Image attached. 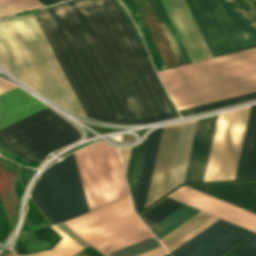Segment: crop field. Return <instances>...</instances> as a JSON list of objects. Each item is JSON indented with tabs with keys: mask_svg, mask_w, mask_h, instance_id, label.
<instances>
[{
	"mask_svg": "<svg viewBox=\"0 0 256 256\" xmlns=\"http://www.w3.org/2000/svg\"><path fill=\"white\" fill-rule=\"evenodd\" d=\"M5 256H15L14 253H10L8 255H5Z\"/></svg>",
	"mask_w": 256,
	"mask_h": 256,
	"instance_id": "b80d0937",
	"label": "crop field"
},
{
	"mask_svg": "<svg viewBox=\"0 0 256 256\" xmlns=\"http://www.w3.org/2000/svg\"><path fill=\"white\" fill-rule=\"evenodd\" d=\"M199 212L184 205L149 229L159 240Z\"/></svg>",
	"mask_w": 256,
	"mask_h": 256,
	"instance_id": "bc2a9ffb",
	"label": "crop field"
},
{
	"mask_svg": "<svg viewBox=\"0 0 256 256\" xmlns=\"http://www.w3.org/2000/svg\"><path fill=\"white\" fill-rule=\"evenodd\" d=\"M177 110L256 91V48L158 72Z\"/></svg>",
	"mask_w": 256,
	"mask_h": 256,
	"instance_id": "34b2d1b8",
	"label": "crop field"
},
{
	"mask_svg": "<svg viewBox=\"0 0 256 256\" xmlns=\"http://www.w3.org/2000/svg\"><path fill=\"white\" fill-rule=\"evenodd\" d=\"M74 154L90 211L129 195L116 148L97 142Z\"/></svg>",
	"mask_w": 256,
	"mask_h": 256,
	"instance_id": "d8731c3e",
	"label": "crop field"
},
{
	"mask_svg": "<svg viewBox=\"0 0 256 256\" xmlns=\"http://www.w3.org/2000/svg\"><path fill=\"white\" fill-rule=\"evenodd\" d=\"M231 252L241 256H256V234L245 240Z\"/></svg>",
	"mask_w": 256,
	"mask_h": 256,
	"instance_id": "d3111659",
	"label": "crop field"
},
{
	"mask_svg": "<svg viewBox=\"0 0 256 256\" xmlns=\"http://www.w3.org/2000/svg\"><path fill=\"white\" fill-rule=\"evenodd\" d=\"M254 133V132H253ZM256 177V128L244 179Z\"/></svg>",
	"mask_w": 256,
	"mask_h": 256,
	"instance_id": "750c4746",
	"label": "crop field"
},
{
	"mask_svg": "<svg viewBox=\"0 0 256 256\" xmlns=\"http://www.w3.org/2000/svg\"><path fill=\"white\" fill-rule=\"evenodd\" d=\"M130 150H131V148L119 149L125 173H126V168H127V164H128Z\"/></svg>",
	"mask_w": 256,
	"mask_h": 256,
	"instance_id": "5866460e",
	"label": "crop field"
},
{
	"mask_svg": "<svg viewBox=\"0 0 256 256\" xmlns=\"http://www.w3.org/2000/svg\"><path fill=\"white\" fill-rule=\"evenodd\" d=\"M212 57L256 46V12L248 0H184Z\"/></svg>",
	"mask_w": 256,
	"mask_h": 256,
	"instance_id": "412701ff",
	"label": "crop field"
},
{
	"mask_svg": "<svg viewBox=\"0 0 256 256\" xmlns=\"http://www.w3.org/2000/svg\"><path fill=\"white\" fill-rule=\"evenodd\" d=\"M43 5H45V4H48V3H52V1L53 2H55V1H58V0H39Z\"/></svg>",
	"mask_w": 256,
	"mask_h": 256,
	"instance_id": "e1f06a70",
	"label": "crop field"
},
{
	"mask_svg": "<svg viewBox=\"0 0 256 256\" xmlns=\"http://www.w3.org/2000/svg\"><path fill=\"white\" fill-rule=\"evenodd\" d=\"M256 213V182L190 186Z\"/></svg>",
	"mask_w": 256,
	"mask_h": 256,
	"instance_id": "d9b57169",
	"label": "crop field"
},
{
	"mask_svg": "<svg viewBox=\"0 0 256 256\" xmlns=\"http://www.w3.org/2000/svg\"><path fill=\"white\" fill-rule=\"evenodd\" d=\"M183 204L178 203L174 200H171L169 198H165L162 201H160L158 204L147 210L145 213L140 215L142 220L146 223V225L151 227L179 207H181Z\"/></svg>",
	"mask_w": 256,
	"mask_h": 256,
	"instance_id": "00972430",
	"label": "crop field"
},
{
	"mask_svg": "<svg viewBox=\"0 0 256 256\" xmlns=\"http://www.w3.org/2000/svg\"><path fill=\"white\" fill-rule=\"evenodd\" d=\"M146 140H143V142L135 147H132L129 164L127 168V181L129 184V188L131 191V195L134 201V196L136 192L137 182L139 178L140 168L142 164L143 154L145 150Z\"/></svg>",
	"mask_w": 256,
	"mask_h": 256,
	"instance_id": "dafd665d",
	"label": "crop field"
},
{
	"mask_svg": "<svg viewBox=\"0 0 256 256\" xmlns=\"http://www.w3.org/2000/svg\"><path fill=\"white\" fill-rule=\"evenodd\" d=\"M243 110L219 115L203 181L228 180Z\"/></svg>",
	"mask_w": 256,
	"mask_h": 256,
	"instance_id": "5a996713",
	"label": "crop field"
},
{
	"mask_svg": "<svg viewBox=\"0 0 256 256\" xmlns=\"http://www.w3.org/2000/svg\"><path fill=\"white\" fill-rule=\"evenodd\" d=\"M158 246H160L159 242L152 236L106 256H135Z\"/></svg>",
	"mask_w": 256,
	"mask_h": 256,
	"instance_id": "730fd06b",
	"label": "crop field"
},
{
	"mask_svg": "<svg viewBox=\"0 0 256 256\" xmlns=\"http://www.w3.org/2000/svg\"><path fill=\"white\" fill-rule=\"evenodd\" d=\"M255 98H256V92H253V93H249V94H245V95H241L233 98H228V99L180 110L179 113L181 114L182 117H185V116L233 105L236 103H240V102L255 99Z\"/></svg>",
	"mask_w": 256,
	"mask_h": 256,
	"instance_id": "a9b5d70f",
	"label": "crop field"
},
{
	"mask_svg": "<svg viewBox=\"0 0 256 256\" xmlns=\"http://www.w3.org/2000/svg\"><path fill=\"white\" fill-rule=\"evenodd\" d=\"M172 198L256 231V214L214 198L188 186L169 195ZM179 201V202H180Z\"/></svg>",
	"mask_w": 256,
	"mask_h": 256,
	"instance_id": "28ad6ade",
	"label": "crop field"
},
{
	"mask_svg": "<svg viewBox=\"0 0 256 256\" xmlns=\"http://www.w3.org/2000/svg\"><path fill=\"white\" fill-rule=\"evenodd\" d=\"M228 252H229V251H228ZM223 256H238V255L229 252V253H227V254H225V255H223Z\"/></svg>",
	"mask_w": 256,
	"mask_h": 256,
	"instance_id": "0bd39190",
	"label": "crop field"
},
{
	"mask_svg": "<svg viewBox=\"0 0 256 256\" xmlns=\"http://www.w3.org/2000/svg\"><path fill=\"white\" fill-rule=\"evenodd\" d=\"M181 124L162 129L146 205L165 194Z\"/></svg>",
	"mask_w": 256,
	"mask_h": 256,
	"instance_id": "22f410ed",
	"label": "crop field"
},
{
	"mask_svg": "<svg viewBox=\"0 0 256 256\" xmlns=\"http://www.w3.org/2000/svg\"><path fill=\"white\" fill-rule=\"evenodd\" d=\"M217 219L218 218H215V217L211 218L210 220H208L207 222H205L204 224H202L201 226H199L198 228H196L195 230H193L192 232H190L189 234H187L186 236H184L183 238H181L180 240H178L177 242H175L174 244H172L171 246H169L166 249L169 252L172 251L173 249H175L176 247L181 245L183 242H185L186 240H188L189 238H191L192 236H194L195 234H197L198 232H200L201 230L206 228L208 225H210L211 223H213Z\"/></svg>",
	"mask_w": 256,
	"mask_h": 256,
	"instance_id": "120bbe31",
	"label": "crop field"
},
{
	"mask_svg": "<svg viewBox=\"0 0 256 256\" xmlns=\"http://www.w3.org/2000/svg\"><path fill=\"white\" fill-rule=\"evenodd\" d=\"M104 255L152 236L129 197L64 223Z\"/></svg>",
	"mask_w": 256,
	"mask_h": 256,
	"instance_id": "f4fd0767",
	"label": "crop field"
},
{
	"mask_svg": "<svg viewBox=\"0 0 256 256\" xmlns=\"http://www.w3.org/2000/svg\"><path fill=\"white\" fill-rule=\"evenodd\" d=\"M47 107L16 87L0 95V128Z\"/></svg>",
	"mask_w": 256,
	"mask_h": 256,
	"instance_id": "5142ce71",
	"label": "crop field"
},
{
	"mask_svg": "<svg viewBox=\"0 0 256 256\" xmlns=\"http://www.w3.org/2000/svg\"><path fill=\"white\" fill-rule=\"evenodd\" d=\"M161 129L162 127L151 131L148 136L136 197L134 201L136 212L144 208L145 205Z\"/></svg>",
	"mask_w": 256,
	"mask_h": 256,
	"instance_id": "4a817a6b",
	"label": "crop field"
},
{
	"mask_svg": "<svg viewBox=\"0 0 256 256\" xmlns=\"http://www.w3.org/2000/svg\"><path fill=\"white\" fill-rule=\"evenodd\" d=\"M255 124H256V105H253L250 108L234 179H243L244 177Z\"/></svg>",
	"mask_w": 256,
	"mask_h": 256,
	"instance_id": "92a150f3",
	"label": "crop field"
},
{
	"mask_svg": "<svg viewBox=\"0 0 256 256\" xmlns=\"http://www.w3.org/2000/svg\"><path fill=\"white\" fill-rule=\"evenodd\" d=\"M81 252H83L84 254H86L88 256H102L89 246L87 248L83 249Z\"/></svg>",
	"mask_w": 256,
	"mask_h": 256,
	"instance_id": "028f5c9d",
	"label": "crop field"
},
{
	"mask_svg": "<svg viewBox=\"0 0 256 256\" xmlns=\"http://www.w3.org/2000/svg\"><path fill=\"white\" fill-rule=\"evenodd\" d=\"M57 227H59L65 234H67L71 239H73L75 242H77L82 247L87 246L83 241H81L79 238H77L75 235H73L62 223L56 224Z\"/></svg>",
	"mask_w": 256,
	"mask_h": 256,
	"instance_id": "d32e631a",
	"label": "crop field"
},
{
	"mask_svg": "<svg viewBox=\"0 0 256 256\" xmlns=\"http://www.w3.org/2000/svg\"><path fill=\"white\" fill-rule=\"evenodd\" d=\"M154 1H155V3L157 5V7H158V9H159V11H160L164 21H165V23H166L170 33H171V35H172V37H173V39H174V41H175V43L177 45V47H178V49H179V51H180V53H181L185 63L191 62L189 57H188V55H187V53H186V51H185V49H184V47H183V45H182V43H181V41H180V39H179V37H178V35H177V33H176V31H175V29H174V26H173V24H172V22H171V20H170V18L168 16V14H167L165 8H164L161 0H154Z\"/></svg>",
	"mask_w": 256,
	"mask_h": 256,
	"instance_id": "ae1a2a85",
	"label": "crop field"
},
{
	"mask_svg": "<svg viewBox=\"0 0 256 256\" xmlns=\"http://www.w3.org/2000/svg\"><path fill=\"white\" fill-rule=\"evenodd\" d=\"M211 217L212 216L201 212L159 241L166 248Z\"/></svg>",
	"mask_w": 256,
	"mask_h": 256,
	"instance_id": "4177f3b9",
	"label": "crop field"
},
{
	"mask_svg": "<svg viewBox=\"0 0 256 256\" xmlns=\"http://www.w3.org/2000/svg\"><path fill=\"white\" fill-rule=\"evenodd\" d=\"M147 2H148V3L150 4V6L153 8V10H154V12H155V14H156V16H157V18H158V20H159V22H160L162 28H163V30H164V32H165L166 36H167V38H168V40H169V42H170V44H171V46H172V48H173V50H174V52H175V54H176V56H177L179 62H180V64H181V65L184 64V61H183V59H182V57H181V55H180V53H179V51H178V49H177V47H176L174 41H173V39H172V37H171V35H170V33H169V31H168L166 25H165V23H164V21H163L161 15H160V13H159V11H158V9H157V7H156L154 1H153V0H147Z\"/></svg>",
	"mask_w": 256,
	"mask_h": 256,
	"instance_id": "1d83c4d3",
	"label": "crop field"
},
{
	"mask_svg": "<svg viewBox=\"0 0 256 256\" xmlns=\"http://www.w3.org/2000/svg\"><path fill=\"white\" fill-rule=\"evenodd\" d=\"M196 122L183 123L181 126L167 192L184 181Z\"/></svg>",
	"mask_w": 256,
	"mask_h": 256,
	"instance_id": "733c2abd",
	"label": "crop field"
},
{
	"mask_svg": "<svg viewBox=\"0 0 256 256\" xmlns=\"http://www.w3.org/2000/svg\"><path fill=\"white\" fill-rule=\"evenodd\" d=\"M0 5H2L9 12L6 13L7 11L2 6H0V14H12L42 6V4L37 0H0Z\"/></svg>",
	"mask_w": 256,
	"mask_h": 256,
	"instance_id": "eef30255",
	"label": "crop field"
},
{
	"mask_svg": "<svg viewBox=\"0 0 256 256\" xmlns=\"http://www.w3.org/2000/svg\"><path fill=\"white\" fill-rule=\"evenodd\" d=\"M163 256H170L169 254L163 255Z\"/></svg>",
	"mask_w": 256,
	"mask_h": 256,
	"instance_id": "c035e120",
	"label": "crop field"
},
{
	"mask_svg": "<svg viewBox=\"0 0 256 256\" xmlns=\"http://www.w3.org/2000/svg\"><path fill=\"white\" fill-rule=\"evenodd\" d=\"M192 62L211 55L183 0H162Z\"/></svg>",
	"mask_w": 256,
	"mask_h": 256,
	"instance_id": "d1516ede",
	"label": "crop field"
},
{
	"mask_svg": "<svg viewBox=\"0 0 256 256\" xmlns=\"http://www.w3.org/2000/svg\"><path fill=\"white\" fill-rule=\"evenodd\" d=\"M79 138V131L49 107L0 129V141L8 149L34 162Z\"/></svg>",
	"mask_w": 256,
	"mask_h": 256,
	"instance_id": "dd49c442",
	"label": "crop field"
},
{
	"mask_svg": "<svg viewBox=\"0 0 256 256\" xmlns=\"http://www.w3.org/2000/svg\"><path fill=\"white\" fill-rule=\"evenodd\" d=\"M30 197L53 224L88 212L74 154L46 169Z\"/></svg>",
	"mask_w": 256,
	"mask_h": 256,
	"instance_id": "e52e79f7",
	"label": "crop field"
},
{
	"mask_svg": "<svg viewBox=\"0 0 256 256\" xmlns=\"http://www.w3.org/2000/svg\"><path fill=\"white\" fill-rule=\"evenodd\" d=\"M249 108H250V106L246 107L245 110H244L243 119H242V123H241L240 133H239V137H238V142H237V146H236V151H235V155H234V160H233V165H232L229 180L233 179V177H234V173H235V169H236V164H237V160H238V156H239V151H240V147H241V142H242V138H243V134H244V129H245L246 121H247Z\"/></svg>",
	"mask_w": 256,
	"mask_h": 256,
	"instance_id": "bd1437ed",
	"label": "crop field"
},
{
	"mask_svg": "<svg viewBox=\"0 0 256 256\" xmlns=\"http://www.w3.org/2000/svg\"><path fill=\"white\" fill-rule=\"evenodd\" d=\"M33 13L87 117L116 124L177 117L114 0H70Z\"/></svg>",
	"mask_w": 256,
	"mask_h": 256,
	"instance_id": "8a807250",
	"label": "crop field"
},
{
	"mask_svg": "<svg viewBox=\"0 0 256 256\" xmlns=\"http://www.w3.org/2000/svg\"><path fill=\"white\" fill-rule=\"evenodd\" d=\"M217 117L198 120L184 183L202 181Z\"/></svg>",
	"mask_w": 256,
	"mask_h": 256,
	"instance_id": "cbeb9de0",
	"label": "crop field"
},
{
	"mask_svg": "<svg viewBox=\"0 0 256 256\" xmlns=\"http://www.w3.org/2000/svg\"><path fill=\"white\" fill-rule=\"evenodd\" d=\"M0 64L53 102L86 117L33 13L0 19Z\"/></svg>",
	"mask_w": 256,
	"mask_h": 256,
	"instance_id": "ac0d7876",
	"label": "crop field"
},
{
	"mask_svg": "<svg viewBox=\"0 0 256 256\" xmlns=\"http://www.w3.org/2000/svg\"><path fill=\"white\" fill-rule=\"evenodd\" d=\"M135 22L156 70L166 68L132 0H119Z\"/></svg>",
	"mask_w": 256,
	"mask_h": 256,
	"instance_id": "214f88e0",
	"label": "crop field"
},
{
	"mask_svg": "<svg viewBox=\"0 0 256 256\" xmlns=\"http://www.w3.org/2000/svg\"><path fill=\"white\" fill-rule=\"evenodd\" d=\"M251 234L219 219L170 253L173 256H220Z\"/></svg>",
	"mask_w": 256,
	"mask_h": 256,
	"instance_id": "3316defc",
	"label": "crop field"
}]
</instances>
